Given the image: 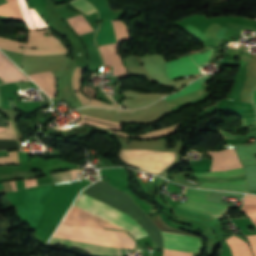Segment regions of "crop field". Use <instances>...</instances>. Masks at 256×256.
<instances>
[{"label": "crop field", "mask_w": 256, "mask_h": 256, "mask_svg": "<svg viewBox=\"0 0 256 256\" xmlns=\"http://www.w3.org/2000/svg\"><path fill=\"white\" fill-rule=\"evenodd\" d=\"M74 206L94 214L126 231H128L134 239L147 236V233L130 217L124 213L98 201L85 194H82L75 202ZM72 206L69 213L63 220L76 226H87L92 228H109L120 229L94 215L82 211ZM120 229V230H122Z\"/></svg>", "instance_id": "crop-field-1"}, {"label": "crop field", "mask_w": 256, "mask_h": 256, "mask_svg": "<svg viewBox=\"0 0 256 256\" xmlns=\"http://www.w3.org/2000/svg\"><path fill=\"white\" fill-rule=\"evenodd\" d=\"M53 237L118 247V248H134L135 246V242L132 240V238L79 233V232H73V231H69L61 228H58V230L56 231ZM56 238H52L50 243L75 247L91 253L122 256L121 249H118V248L93 245V244H87V243H81V242H74V241H68V240H62V239H56Z\"/></svg>", "instance_id": "crop-field-2"}, {"label": "crop field", "mask_w": 256, "mask_h": 256, "mask_svg": "<svg viewBox=\"0 0 256 256\" xmlns=\"http://www.w3.org/2000/svg\"><path fill=\"white\" fill-rule=\"evenodd\" d=\"M141 59L143 64L147 67V69L149 70V72L151 73V75L153 76L156 82L163 85L172 81L166 75V62L163 60V57L159 55H155V56L141 58ZM193 78L195 77L178 79L164 86L174 87L175 90L169 92V93H172L178 90L179 88H181L183 85L187 84ZM123 94H125L126 97L134 98V99H127L124 101V103L132 107L149 105L164 96L162 94H138L131 91L123 92Z\"/></svg>", "instance_id": "crop-field-3"}, {"label": "crop field", "mask_w": 256, "mask_h": 256, "mask_svg": "<svg viewBox=\"0 0 256 256\" xmlns=\"http://www.w3.org/2000/svg\"><path fill=\"white\" fill-rule=\"evenodd\" d=\"M121 158L128 164L152 173H159L175 158V153L147 150H122Z\"/></svg>", "instance_id": "crop-field-4"}, {"label": "crop field", "mask_w": 256, "mask_h": 256, "mask_svg": "<svg viewBox=\"0 0 256 256\" xmlns=\"http://www.w3.org/2000/svg\"><path fill=\"white\" fill-rule=\"evenodd\" d=\"M185 189L186 188H184L183 193ZM213 192L214 191L210 190L187 188L184 195L188 196V199L186 202L179 204L178 207L186 208L189 210L221 218L229 207L207 202L208 197Z\"/></svg>", "instance_id": "crop-field-5"}, {"label": "crop field", "mask_w": 256, "mask_h": 256, "mask_svg": "<svg viewBox=\"0 0 256 256\" xmlns=\"http://www.w3.org/2000/svg\"><path fill=\"white\" fill-rule=\"evenodd\" d=\"M11 8L15 19L23 21L28 30L48 28L34 8L28 9L25 0H6ZM8 4L0 6V15L12 16Z\"/></svg>", "instance_id": "crop-field-6"}, {"label": "crop field", "mask_w": 256, "mask_h": 256, "mask_svg": "<svg viewBox=\"0 0 256 256\" xmlns=\"http://www.w3.org/2000/svg\"><path fill=\"white\" fill-rule=\"evenodd\" d=\"M114 30L116 33L117 41H125L129 38L128 30L126 26L120 21H112ZM117 43L101 45L100 51L104 59V63L108 65H113V74L119 76L127 75V70L122 65V59L120 55L116 54Z\"/></svg>", "instance_id": "crop-field-7"}, {"label": "crop field", "mask_w": 256, "mask_h": 256, "mask_svg": "<svg viewBox=\"0 0 256 256\" xmlns=\"http://www.w3.org/2000/svg\"><path fill=\"white\" fill-rule=\"evenodd\" d=\"M164 239V248L188 251L192 253L200 252L202 249V240L194 237H187L172 233L161 232ZM190 253L172 251L164 249L163 256H191Z\"/></svg>", "instance_id": "crop-field-8"}, {"label": "crop field", "mask_w": 256, "mask_h": 256, "mask_svg": "<svg viewBox=\"0 0 256 256\" xmlns=\"http://www.w3.org/2000/svg\"><path fill=\"white\" fill-rule=\"evenodd\" d=\"M43 33H48L47 30L29 31L28 44L26 47L32 48H56V49H32L25 48L24 54H48L67 52L63 44L59 43L55 38L50 36L45 37Z\"/></svg>", "instance_id": "crop-field-9"}, {"label": "crop field", "mask_w": 256, "mask_h": 256, "mask_svg": "<svg viewBox=\"0 0 256 256\" xmlns=\"http://www.w3.org/2000/svg\"><path fill=\"white\" fill-rule=\"evenodd\" d=\"M209 52L210 51L203 54H197V55L193 54L194 56H191V57L186 56L187 58L179 59L176 62L169 63V68H168L169 75L171 76V78H173V77H180V76L201 72L199 67L207 59Z\"/></svg>", "instance_id": "crop-field-10"}, {"label": "crop field", "mask_w": 256, "mask_h": 256, "mask_svg": "<svg viewBox=\"0 0 256 256\" xmlns=\"http://www.w3.org/2000/svg\"><path fill=\"white\" fill-rule=\"evenodd\" d=\"M213 157L212 168L210 171L227 170L243 167L236 156L234 149L222 150L219 152L207 151Z\"/></svg>", "instance_id": "crop-field-11"}, {"label": "crop field", "mask_w": 256, "mask_h": 256, "mask_svg": "<svg viewBox=\"0 0 256 256\" xmlns=\"http://www.w3.org/2000/svg\"><path fill=\"white\" fill-rule=\"evenodd\" d=\"M0 78L5 82L28 80L1 52H0Z\"/></svg>", "instance_id": "crop-field-12"}, {"label": "crop field", "mask_w": 256, "mask_h": 256, "mask_svg": "<svg viewBox=\"0 0 256 256\" xmlns=\"http://www.w3.org/2000/svg\"><path fill=\"white\" fill-rule=\"evenodd\" d=\"M51 98L55 97V79L51 71L29 75Z\"/></svg>", "instance_id": "crop-field-13"}, {"label": "crop field", "mask_w": 256, "mask_h": 256, "mask_svg": "<svg viewBox=\"0 0 256 256\" xmlns=\"http://www.w3.org/2000/svg\"><path fill=\"white\" fill-rule=\"evenodd\" d=\"M199 188L220 189L250 193L246 180L231 183L201 182V186H199Z\"/></svg>", "instance_id": "crop-field-14"}, {"label": "crop field", "mask_w": 256, "mask_h": 256, "mask_svg": "<svg viewBox=\"0 0 256 256\" xmlns=\"http://www.w3.org/2000/svg\"><path fill=\"white\" fill-rule=\"evenodd\" d=\"M226 241L231 248L233 256H252L250 248L246 242L233 235Z\"/></svg>", "instance_id": "crop-field-15"}, {"label": "crop field", "mask_w": 256, "mask_h": 256, "mask_svg": "<svg viewBox=\"0 0 256 256\" xmlns=\"http://www.w3.org/2000/svg\"><path fill=\"white\" fill-rule=\"evenodd\" d=\"M67 21L70 23L77 35L92 31V28L85 20L83 15L68 18Z\"/></svg>", "instance_id": "crop-field-16"}, {"label": "crop field", "mask_w": 256, "mask_h": 256, "mask_svg": "<svg viewBox=\"0 0 256 256\" xmlns=\"http://www.w3.org/2000/svg\"><path fill=\"white\" fill-rule=\"evenodd\" d=\"M243 212H256V196L245 195L243 199ZM256 225V213H246Z\"/></svg>", "instance_id": "crop-field-17"}, {"label": "crop field", "mask_w": 256, "mask_h": 256, "mask_svg": "<svg viewBox=\"0 0 256 256\" xmlns=\"http://www.w3.org/2000/svg\"><path fill=\"white\" fill-rule=\"evenodd\" d=\"M82 72L83 69L77 67V69L75 70L74 74H73V78H72V83H73V87L75 90V93L77 95V97L79 98L80 102L84 105L86 104L90 99H88L87 97H85L81 92H80V78L82 76Z\"/></svg>", "instance_id": "crop-field-18"}, {"label": "crop field", "mask_w": 256, "mask_h": 256, "mask_svg": "<svg viewBox=\"0 0 256 256\" xmlns=\"http://www.w3.org/2000/svg\"><path fill=\"white\" fill-rule=\"evenodd\" d=\"M180 124L181 123H177V124L167 128V129L151 132V133L140 135V136H131V135H128V134H124L122 132H115V133H119V134H122V135L127 136V137L156 138V137L167 136V135L173 133Z\"/></svg>", "instance_id": "crop-field-19"}, {"label": "crop field", "mask_w": 256, "mask_h": 256, "mask_svg": "<svg viewBox=\"0 0 256 256\" xmlns=\"http://www.w3.org/2000/svg\"><path fill=\"white\" fill-rule=\"evenodd\" d=\"M196 176H209V177H229L244 174L243 168L233 169L223 172H205V173H194Z\"/></svg>", "instance_id": "crop-field-20"}, {"label": "crop field", "mask_w": 256, "mask_h": 256, "mask_svg": "<svg viewBox=\"0 0 256 256\" xmlns=\"http://www.w3.org/2000/svg\"><path fill=\"white\" fill-rule=\"evenodd\" d=\"M20 46L24 47L25 43L17 42L15 40L4 39V38L0 37V47L1 48H4L9 51L22 53V48H20Z\"/></svg>", "instance_id": "crop-field-21"}, {"label": "crop field", "mask_w": 256, "mask_h": 256, "mask_svg": "<svg viewBox=\"0 0 256 256\" xmlns=\"http://www.w3.org/2000/svg\"><path fill=\"white\" fill-rule=\"evenodd\" d=\"M209 79H210L209 76L206 75V76L202 77L201 79H199L197 81L195 80L196 82H194V83L188 85L187 87L183 88L180 92H178L174 95H170V96L165 97V100L176 97V96H179V95H182V94H185V93H188V92H191V91H194V90H197V89H200L201 88L200 83H203V82H205Z\"/></svg>", "instance_id": "crop-field-22"}, {"label": "crop field", "mask_w": 256, "mask_h": 256, "mask_svg": "<svg viewBox=\"0 0 256 256\" xmlns=\"http://www.w3.org/2000/svg\"><path fill=\"white\" fill-rule=\"evenodd\" d=\"M70 3L73 4L76 8H78L79 10H81L82 12H84L87 15L96 11L92 7V5L89 4L88 2H86L85 0H73Z\"/></svg>", "instance_id": "crop-field-23"}, {"label": "crop field", "mask_w": 256, "mask_h": 256, "mask_svg": "<svg viewBox=\"0 0 256 256\" xmlns=\"http://www.w3.org/2000/svg\"><path fill=\"white\" fill-rule=\"evenodd\" d=\"M78 172H81V170L80 169L70 170L68 172L52 174L51 176H52V179L54 182H58V181H62V180L74 179V178H76L74 173H78Z\"/></svg>", "instance_id": "crop-field-24"}, {"label": "crop field", "mask_w": 256, "mask_h": 256, "mask_svg": "<svg viewBox=\"0 0 256 256\" xmlns=\"http://www.w3.org/2000/svg\"><path fill=\"white\" fill-rule=\"evenodd\" d=\"M9 156L0 157L1 164H19L16 151L8 152Z\"/></svg>", "instance_id": "crop-field-25"}, {"label": "crop field", "mask_w": 256, "mask_h": 256, "mask_svg": "<svg viewBox=\"0 0 256 256\" xmlns=\"http://www.w3.org/2000/svg\"><path fill=\"white\" fill-rule=\"evenodd\" d=\"M0 117H3V116L0 114ZM7 122H8L9 128H6L4 133L0 132V138L17 139L13 132L10 122L9 121H7Z\"/></svg>", "instance_id": "crop-field-26"}, {"label": "crop field", "mask_w": 256, "mask_h": 256, "mask_svg": "<svg viewBox=\"0 0 256 256\" xmlns=\"http://www.w3.org/2000/svg\"><path fill=\"white\" fill-rule=\"evenodd\" d=\"M224 139H235V138H250L256 137V132L248 133L246 136H236L227 132L219 131Z\"/></svg>", "instance_id": "crop-field-27"}, {"label": "crop field", "mask_w": 256, "mask_h": 256, "mask_svg": "<svg viewBox=\"0 0 256 256\" xmlns=\"http://www.w3.org/2000/svg\"><path fill=\"white\" fill-rule=\"evenodd\" d=\"M187 32L191 33L194 35V37H198L200 40L205 39L204 35L201 33V31L193 26H188L185 29Z\"/></svg>", "instance_id": "crop-field-28"}, {"label": "crop field", "mask_w": 256, "mask_h": 256, "mask_svg": "<svg viewBox=\"0 0 256 256\" xmlns=\"http://www.w3.org/2000/svg\"><path fill=\"white\" fill-rule=\"evenodd\" d=\"M246 237H247L248 242L251 246L253 255L256 256V235H249V236H246Z\"/></svg>", "instance_id": "crop-field-29"}, {"label": "crop field", "mask_w": 256, "mask_h": 256, "mask_svg": "<svg viewBox=\"0 0 256 256\" xmlns=\"http://www.w3.org/2000/svg\"><path fill=\"white\" fill-rule=\"evenodd\" d=\"M87 105H98V106H106V107H116V108H121L119 107L118 105H114V104H111V105H108L102 101H98V100H95L93 99L91 102H89ZM86 105V106H87Z\"/></svg>", "instance_id": "crop-field-30"}, {"label": "crop field", "mask_w": 256, "mask_h": 256, "mask_svg": "<svg viewBox=\"0 0 256 256\" xmlns=\"http://www.w3.org/2000/svg\"><path fill=\"white\" fill-rule=\"evenodd\" d=\"M256 126V119L255 118H242L241 126Z\"/></svg>", "instance_id": "crop-field-31"}, {"label": "crop field", "mask_w": 256, "mask_h": 256, "mask_svg": "<svg viewBox=\"0 0 256 256\" xmlns=\"http://www.w3.org/2000/svg\"><path fill=\"white\" fill-rule=\"evenodd\" d=\"M225 31H226V27L220 28V29L218 30L217 38L223 40V39H224Z\"/></svg>", "instance_id": "crop-field-32"}, {"label": "crop field", "mask_w": 256, "mask_h": 256, "mask_svg": "<svg viewBox=\"0 0 256 256\" xmlns=\"http://www.w3.org/2000/svg\"><path fill=\"white\" fill-rule=\"evenodd\" d=\"M252 98H253V102H254V106H255V111H256V88L254 89V91L252 93Z\"/></svg>", "instance_id": "crop-field-33"}, {"label": "crop field", "mask_w": 256, "mask_h": 256, "mask_svg": "<svg viewBox=\"0 0 256 256\" xmlns=\"http://www.w3.org/2000/svg\"><path fill=\"white\" fill-rule=\"evenodd\" d=\"M3 129H4V128H1V127H0V131H3Z\"/></svg>", "instance_id": "crop-field-34"}]
</instances>
